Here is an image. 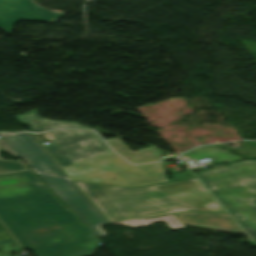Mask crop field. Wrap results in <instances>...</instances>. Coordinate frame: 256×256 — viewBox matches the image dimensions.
<instances>
[{
  "instance_id": "obj_1",
  "label": "crop field",
  "mask_w": 256,
  "mask_h": 256,
  "mask_svg": "<svg viewBox=\"0 0 256 256\" xmlns=\"http://www.w3.org/2000/svg\"><path fill=\"white\" fill-rule=\"evenodd\" d=\"M0 219L36 256H92L99 242L31 171L0 176Z\"/></svg>"
},
{
  "instance_id": "obj_2",
  "label": "crop field",
  "mask_w": 256,
  "mask_h": 256,
  "mask_svg": "<svg viewBox=\"0 0 256 256\" xmlns=\"http://www.w3.org/2000/svg\"><path fill=\"white\" fill-rule=\"evenodd\" d=\"M77 183L110 222L187 210L226 212L198 179L130 189Z\"/></svg>"
},
{
  "instance_id": "obj_3",
  "label": "crop field",
  "mask_w": 256,
  "mask_h": 256,
  "mask_svg": "<svg viewBox=\"0 0 256 256\" xmlns=\"http://www.w3.org/2000/svg\"><path fill=\"white\" fill-rule=\"evenodd\" d=\"M0 135L31 166L32 169L44 172L38 164V162L42 161L47 169L52 171L55 176L62 178L68 177L36 142L30 133ZM38 175L58 194V196L97 237L103 236L97 227L108 223V221L73 182L46 176L44 174Z\"/></svg>"
},
{
  "instance_id": "obj_4",
  "label": "crop field",
  "mask_w": 256,
  "mask_h": 256,
  "mask_svg": "<svg viewBox=\"0 0 256 256\" xmlns=\"http://www.w3.org/2000/svg\"><path fill=\"white\" fill-rule=\"evenodd\" d=\"M197 175L239 222L256 229V159Z\"/></svg>"
},
{
  "instance_id": "obj_5",
  "label": "crop field",
  "mask_w": 256,
  "mask_h": 256,
  "mask_svg": "<svg viewBox=\"0 0 256 256\" xmlns=\"http://www.w3.org/2000/svg\"><path fill=\"white\" fill-rule=\"evenodd\" d=\"M64 169L74 180L123 187L168 182L161 163L131 165L113 152L69 165Z\"/></svg>"
},
{
  "instance_id": "obj_6",
  "label": "crop field",
  "mask_w": 256,
  "mask_h": 256,
  "mask_svg": "<svg viewBox=\"0 0 256 256\" xmlns=\"http://www.w3.org/2000/svg\"><path fill=\"white\" fill-rule=\"evenodd\" d=\"M52 132L59 137V141L52 143L49 146L43 144L46 139L41 134H31L61 168L93 156L111 152L106 146L107 144L105 145L95 132L80 130H56ZM66 174L68 175L67 172ZM73 182L78 186L74 180Z\"/></svg>"
},
{
  "instance_id": "obj_7",
  "label": "crop field",
  "mask_w": 256,
  "mask_h": 256,
  "mask_svg": "<svg viewBox=\"0 0 256 256\" xmlns=\"http://www.w3.org/2000/svg\"><path fill=\"white\" fill-rule=\"evenodd\" d=\"M66 14L46 10L32 0H0V27L8 33L21 19L57 22Z\"/></svg>"
},
{
  "instance_id": "obj_8",
  "label": "crop field",
  "mask_w": 256,
  "mask_h": 256,
  "mask_svg": "<svg viewBox=\"0 0 256 256\" xmlns=\"http://www.w3.org/2000/svg\"><path fill=\"white\" fill-rule=\"evenodd\" d=\"M174 216L185 225L225 232L244 233L228 214L186 212L174 214Z\"/></svg>"
},
{
  "instance_id": "obj_9",
  "label": "crop field",
  "mask_w": 256,
  "mask_h": 256,
  "mask_svg": "<svg viewBox=\"0 0 256 256\" xmlns=\"http://www.w3.org/2000/svg\"><path fill=\"white\" fill-rule=\"evenodd\" d=\"M20 122L29 125L33 132H39L44 130L56 129V128H80V129H91L77 122H62L53 121L42 118L37 115V109L24 113L22 115L15 116ZM38 122V124H36Z\"/></svg>"
},
{
  "instance_id": "obj_10",
  "label": "crop field",
  "mask_w": 256,
  "mask_h": 256,
  "mask_svg": "<svg viewBox=\"0 0 256 256\" xmlns=\"http://www.w3.org/2000/svg\"><path fill=\"white\" fill-rule=\"evenodd\" d=\"M106 141L116 152L122 154L133 163L165 160L161 157L163 153L153 147L143 148L138 150V152H133L119 138L108 139Z\"/></svg>"
},
{
  "instance_id": "obj_11",
  "label": "crop field",
  "mask_w": 256,
  "mask_h": 256,
  "mask_svg": "<svg viewBox=\"0 0 256 256\" xmlns=\"http://www.w3.org/2000/svg\"><path fill=\"white\" fill-rule=\"evenodd\" d=\"M184 155L196 160L210 158L211 161L215 163L239 159L237 156L228 154L214 148H196Z\"/></svg>"
},
{
  "instance_id": "obj_12",
  "label": "crop field",
  "mask_w": 256,
  "mask_h": 256,
  "mask_svg": "<svg viewBox=\"0 0 256 256\" xmlns=\"http://www.w3.org/2000/svg\"><path fill=\"white\" fill-rule=\"evenodd\" d=\"M157 220L164 221L172 229L183 228V225L173 215L157 217L152 219H129V220L120 221V222H113L111 224L112 225L123 224V225L132 226V227H138V226L146 225L152 221H157Z\"/></svg>"
},
{
  "instance_id": "obj_13",
  "label": "crop field",
  "mask_w": 256,
  "mask_h": 256,
  "mask_svg": "<svg viewBox=\"0 0 256 256\" xmlns=\"http://www.w3.org/2000/svg\"><path fill=\"white\" fill-rule=\"evenodd\" d=\"M29 170L18 160H7L0 157V174L13 173Z\"/></svg>"
},
{
  "instance_id": "obj_14",
  "label": "crop field",
  "mask_w": 256,
  "mask_h": 256,
  "mask_svg": "<svg viewBox=\"0 0 256 256\" xmlns=\"http://www.w3.org/2000/svg\"><path fill=\"white\" fill-rule=\"evenodd\" d=\"M15 242L9 232L5 229V227L0 223V246L2 243H11Z\"/></svg>"
},
{
  "instance_id": "obj_15",
  "label": "crop field",
  "mask_w": 256,
  "mask_h": 256,
  "mask_svg": "<svg viewBox=\"0 0 256 256\" xmlns=\"http://www.w3.org/2000/svg\"><path fill=\"white\" fill-rule=\"evenodd\" d=\"M0 145L3 149H5L8 153L19 156L7 143L3 138H0Z\"/></svg>"
},
{
  "instance_id": "obj_16",
  "label": "crop field",
  "mask_w": 256,
  "mask_h": 256,
  "mask_svg": "<svg viewBox=\"0 0 256 256\" xmlns=\"http://www.w3.org/2000/svg\"><path fill=\"white\" fill-rule=\"evenodd\" d=\"M241 226L256 243V231L245 225H241Z\"/></svg>"
},
{
  "instance_id": "obj_17",
  "label": "crop field",
  "mask_w": 256,
  "mask_h": 256,
  "mask_svg": "<svg viewBox=\"0 0 256 256\" xmlns=\"http://www.w3.org/2000/svg\"><path fill=\"white\" fill-rule=\"evenodd\" d=\"M47 140H52V141H57L58 137L56 135H54L53 133H45L42 134Z\"/></svg>"
},
{
  "instance_id": "obj_18",
  "label": "crop field",
  "mask_w": 256,
  "mask_h": 256,
  "mask_svg": "<svg viewBox=\"0 0 256 256\" xmlns=\"http://www.w3.org/2000/svg\"><path fill=\"white\" fill-rule=\"evenodd\" d=\"M39 164H40V166L42 167V169L46 172V173H45L46 175L54 176L52 172L48 171V170L45 168V166L42 164V162H40ZM66 179L71 180L70 178H66ZM71 181H72V180H71Z\"/></svg>"
},
{
  "instance_id": "obj_19",
  "label": "crop field",
  "mask_w": 256,
  "mask_h": 256,
  "mask_svg": "<svg viewBox=\"0 0 256 256\" xmlns=\"http://www.w3.org/2000/svg\"><path fill=\"white\" fill-rule=\"evenodd\" d=\"M98 229L101 231V233H102L104 236L107 235L100 227H98Z\"/></svg>"
},
{
  "instance_id": "obj_20",
  "label": "crop field",
  "mask_w": 256,
  "mask_h": 256,
  "mask_svg": "<svg viewBox=\"0 0 256 256\" xmlns=\"http://www.w3.org/2000/svg\"><path fill=\"white\" fill-rule=\"evenodd\" d=\"M35 172H37V171H35ZM40 173V172H39Z\"/></svg>"
}]
</instances>
